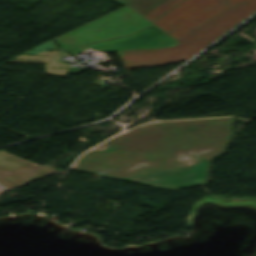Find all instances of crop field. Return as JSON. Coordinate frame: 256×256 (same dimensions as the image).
I'll return each instance as SVG.
<instances>
[{"instance_id":"crop-field-1","label":"crop field","mask_w":256,"mask_h":256,"mask_svg":"<svg viewBox=\"0 0 256 256\" xmlns=\"http://www.w3.org/2000/svg\"><path fill=\"white\" fill-rule=\"evenodd\" d=\"M231 136V117L151 123L88 151L72 169L167 189L204 184L208 161Z\"/></svg>"},{"instance_id":"crop-field-2","label":"crop field","mask_w":256,"mask_h":256,"mask_svg":"<svg viewBox=\"0 0 256 256\" xmlns=\"http://www.w3.org/2000/svg\"><path fill=\"white\" fill-rule=\"evenodd\" d=\"M255 11L256 0H186L153 22L180 44L117 54L125 69L184 61Z\"/></svg>"},{"instance_id":"crop-field-3","label":"crop field","mask_w":256,"mask_h":256,"mask_svg":"<svg viewBox=\"0 0 256 256\" xmlns=\"http://www.w3.org/2000/svg\"><path fill=\"white\" fill-rule=\"evenodd\" d=\"M152 23L128 6L69 31L53 41L61 48L133 33Z\"/></svg>"},{"instance_id":"crop-field-4","label":"crop field","mask_w":256,"mask_h":256,"mask_svg":"<svg viewBox=\"0 0 256 256\" xmlns=\"http://www.w3.org/2000/svg\"><path fill=\"white\" fill-rule=\"evenodd\" d=\"M178 43L172 37L152 25L131 36L99 42L91 45L65 50L70 56H77L75 52L96 49L105 51H125L148 48L166 47Z\"/></svg>"},{"instance_id":"crop-field-5","label":"crop field","mask_w":256,"mask_h":256,"mask_svg":"<svg viewBox=\"0 0 256 256\" xmlns=\"http://www.w3.org/2000/svg\"><path fill=\"white\" fill-rule=\"evenodd\" d=\"M53 168L27 162L4 150H0V183L5 187H17L42 176Z\"/></svg>"},{"instance_id":"crop-field-6","label":"crop field","mask_w":256,"mask_h":256,"mask_svg":"<svg viewBox=\"0 0 256 256\" xmlns=\"http://www.w3.org/2000/svg\"><path fill=\"white\" fill-rule=\"evenodd\" d=\"M128 5L150 22L183 0H110Z\"/></svg>"},{"instance_id":"crop-field-7","label":"crop field","mask_w":256,"mask_h":256,"mask_svg":"<svg viewBox=\"0 0 256 256\" xmlns=\"http://www.w3.org/2000/svg\"><path fill=\"white\" fill-rule=\"evenodd\" d=\"M53 46L47 45V46H43V47H39V49L44 50V49H48V48H52ZM24 58H32V59H46V58H42V57H31V56H26ZM28 62H43V61H28Z\"/></svg>"},{"instance_id":"crop-field-8","label":"crop field","mask_w":256,"mask_h":256,"mask_svg":"<svg viewBox=\"0 0 256 256\" xmlns=\"http://www.w3.org/2000/svg\"><path fill=\"white\" fill-rule=\"evenodd\" d=\"M66 55H67V54H65V53H61V54L59 53V56H60V57L66 56Z\"/></svg>"},{"instance_id":"crop-field-9","label":"crop field","mask_w":256,"mask_h":256,"mask_svg":"<svg viewBox=\"0 0 256 256\" xmlns=\"http://www.w3.org/2000/svg\"><path fill=\"white\" fill-rule=\"evenodd\" d=\"M0 191H1V186H0Z\"/></svg>"}]
</instances>
